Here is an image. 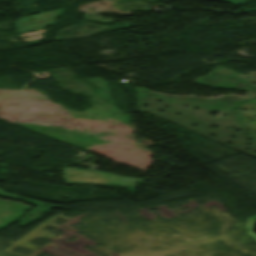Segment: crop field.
<instances>
[{
  "label": "crop field",
  "mask_w": 256,
  "mask_h": 256,
  "mask_svg": "<svg viewBox=\"0 0 256 256\" xmlns=\"http://www.w3.org/2000/svg\"><path fill=\"white\" fill-rule=\"evenodd\" d=\"M71 170H76L70 172ZM66 182H85L111 184L119 186H134V179L121 178L113 174H105L91 171H79L78 169H64Z\"/></svg>",
  "instance_id": "1"
}]
</instances>
